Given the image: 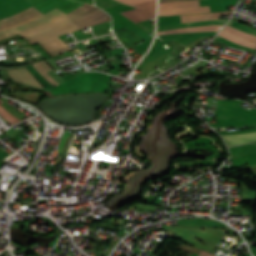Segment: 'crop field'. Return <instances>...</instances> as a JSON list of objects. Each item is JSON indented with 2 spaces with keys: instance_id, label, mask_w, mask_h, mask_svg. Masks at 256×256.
<instances>
[{
  "instance_id": "20",
  "label": "crop field",
  "mask_w": 256,
  "mask_h": 256,
  "mask_svg": "<svg viewBox=\"0 0 256 256\" xmlns=\"http://www.w3.org/2000/svg\"><path fill=\"white\" fill-rule=\"evenodd\" d=\"M0 201H1V193H0Z\"/></svg>"
},
{
  "instance_id": "12",
  "label": "crop field",
  "mask_w": 256,
  "mask_h": 256,
  "mask_svg": "<svg viewBox=\"0 0 256 256\" xmlns=\"http://www.w3.org/2000/svg\"><path fill=\"white\" fill-rule=\"evenodd\" d=\"M215 40L221 42L222 44H224L226 46L247 50V51L252 52V53L254 52V49H250V48H247V47L240 46V45H238L236 43H233V42H231V41H229V40H227L225 38H222V37H220L218 35L216 36Z\"/></svg>"
},
{
  "instance_id": "16",
  "label": "crop field",
  "mask_w": 256,
  "mask_h": 256,
  "mask_svg": "<svg viewBox=\"0 0 256 256\" xmlns=\"http://www.w3.org/2000/svg\"><path fill=\"white\" fill-rule=\"evenodd\" d=\"M70 134L71 133H69L67 131L63 134V136H62V138L59 142L58 153L62 154L63 149H64L65 144H66V141H67L68 137L70 136Z\"/></svg>"
},
{
  "instance_id": "4",
  "label": "crop field",
  "mask_w": 256,
  "mask_h": 256,
  "mask_svg": "<svg viewBox=\"0 0 256 256\" xmlns=\"http://www.w3.org/2000/svg\"><path fill=\"white\" fill-rule=\"evenodd\" d=\"M155 1L142 2L136 5H132L137 9L122 12L124 16L136 23L141 20L149 19L154 17Z\"/></svg>"
},
{
  "instance_id": "15",
  "label": "crop field",
  "mask_w": 256,
  "mask_h": 256,
  "mask_svg": "<svg viewBox=\"0 0 256 256\" xmlns=\"http://www.w3.org/2000/svg\"><path fill=\"white\" fill-rule=\"evenodd\" d=\"M227 19L221 20H213V21H202V22H194V23H186L188 27L191 26H199V25H207V24H223Z\"/></svg>"
},
{
  "instance_id": "10",
  "label": "crop field",
  "mask_w": 256,
  "mask_h": 256,
  "mask_svg": "<svg viewBox=\"0 0 256 256\" xmlns=\"http://www.w3.org/2000/svg\"><path fill=\"white\" fill-rule=\"evenodd\" d=\"M219 35H221V36H223V37H225V38H227V39H229V40H231L233 42H236V43H238L240 45L256 49V44L255 43H251V42L242 40L240 38H237V37H235V36L225 32L223 30L219 33Z\"/></svg>"
},
{
  "instance_id": "7",
  "label": "crop field",
  "mask_w": 256,
  "mask_h": 256,
  "mask_svg": "<svg viewBox=\"0 0 256 256\" xmlns=\"http://www.w3.org/2000/svg\"><path fill=\"white\" fill-rule=\"evenodd\" d=\"M227 146L245 142L256 141V132L248 134L222 135Z\"/></svg>"
},
{
  "instance_id": "9",
  "label": "crop field",
  "mask_w": 256,
  "mask_h": 256,
  "mask_svg": "<svg viewBox=\"0 0 256 256\" xmlns=\"http://www.w3.org/2000/svg\"><path fill=\"white\" fill-rule=\"evenodd\" d=\"M47 81H49L53 86L58 83L50 78L46 72L52 70L48 65H46L43 61L37 62L32 65Z\"/></svg>"
},
{
  "instance_id": "14",
  "label": "crop field",
  "mask_w": 256,
  "mask_h": 256,
  "mask_svg": "<svg viewBox=\"0 0 256 256\" xmlns=\"http://www.w3.org/2000/svg\"><path fill=\"white\" fill-rule=\"evenodd\" d=\"M0 103H2L0 101ZM11 114V113H10ZM1 105H0V115L5 118L6 120H8L10 123L15 124L17 122H20L19 120H17L16 118H14L12 115H10Z\"/></svg>"
},
{
  "instance_id": "18",
  "label": "crop field",
  "mask_w": 256,
  "mask_h": 256,
  "mask_svg": "<svg viewBox=\"0 0 256 256\" xmlns=\"http://www.w3.org/2000/svg\"><path fill=\"white\" fill-rule=\"evenodd\" d=\"M201 254H203V255H205V256H214V255H212V254H209V253H207V252H205V251H201Z\"/></svg>"
},
{
  "instance_id": "3",
  "label": "crop field",
  "mask_w": 256,
  "mask_h": 256,
  "mask_svg": "<svg viewBox=\"0 0 256 256\" xmlns=\"http://www.w3.org/2000/svg\"><path fill=\"white\" fill-rule=\"evenodd\" d=\"M209 12V7H199L198 0L159 4L158 16Z\"/></svg>"
},
{
  "instance_id": "6",
  "label": "crop field",
  "mask_w": 256,
  "mask_h": 256,
  "mask_svg": "<svg viewBox=\"0 0 256 256\" xmlns=\"http://www.w3.org/2000/svg\"><path fill=\"white\" fill-rule=\"evenodd\" d=\"M232 11L229 12H214V13H204V14H194V15H184L180 16L181 22H191V21H201V20H212L219 19L221 15L231 14Z\"/></svg>"
},
{
  "instance_id": "5",
  "label": "crop field",
  "mask_w": 256,
  "mask_h": 256,
  "mask_svg": "<svg viewBox=\"0 0 256 256\" xmlns=\"http://www.w3.org/2000/svg\"><path fill=\"white\" fill-rule=\"evenodd\" d=\"M10 75L18 82L30 84L37 88H43L40 83L25 69H17L8 71Z\"/></svg>"
},
{
  "instance_id": "17",
  "label": "crop field",
  "mask_w": 256,
  "mask_h": 256,
  "mask_svg": "<svg viewBox=\"0 0 256 256\" xmlns=\"http://www.w3.org/2000/svg\"><path fill=\"white\" fill-rule=\"evenodd\" d=\"M117 1L125 3V4L132 5V4H136V3H139V2H142V1H147V0H117Z\"/></svg>"
},
{
  "instance_id": "21",
  "label": "crop field",
  "mask_w": 256,
  "mask_h": 256,
  "mask_svg": "<svg viewBox=\"0 0 256 256\" xmlns=\"http://www.w3.org/2000/svg\"><path fill=\"white\" fill-rule=\"evenodd\" d=\"M200 256V255H199Z\"/></svg>"
},
{
  "instance_id": "1",
  "label": "crop field",
  "mask_w": 256,
  "mask_h": 256,
  "mask_svg": "<svg viewBox=\"0 0 256 256\" xmlns=\"http://www.w3.org/2000/svg\"><path fill=\"white\" fill-rule=\"evenodd\" d=\"M107 20L110 17L105 12L85 4L50 24L20 34L30 45L38 42L53 57L70 50L57 36Z\"/></svg>"
},
{
  "instance_id": "11",
  "label": "crop field",
  "mask_w": 256,
  "mask_h": 256,
  "mask_svg": "<svg viewBox=\"0 0 256 256\" xmlns=\"http://www.w3.org/2000/svg\"><path fill=\"white\" fill-rule=\"evenodd\" d=\"M224 30L242 38V39H245V40H248V41H252V42H255L256 43V36H252V35H249L247 33H244L242 31H239L235 28H232L228 25L225 26Z\"/></svg>"
},
{
  "instance_id": "8",
  "label": "crop field",
  "mask_w": 256,
  "mask_h": 256,
  "mask_svg": "<svg viewBox=\"0 0 256 256\" xmlns=\"http://www.w3.org/2000/svg\"><path fill=\"white\" fill-rule=\"evenodd\" d=\"M220 26L221 25H207V26H199V27H192V28H182V29L161 31V32H158L157 35L183 33V32H198V31H217Z\"/></svg>"
},
{
  "instance_id": "19",
  "label": "crop field",
  "mask_w": 256,
  "mask_h": 256,
  "mask_svg": "<svg viewBox=\"0 0 256 256\" xmlns=\"http://www.w3.org/2000/svg\"><path fill=\"white\" fill-rule=\"evenodd\" d=\"M172 1H179V0H160L159 3H163V2H172Z\"/></svg>"
},
{
  "instance_id": "2",
  "label": "crop field",
  "mask_w": 256,
  "mask_h": 256,
  "mask_svg": "<svg viewBox=\"0 0 256 256\" xmlns=\"http://www.w3.org/2000/svg\"><path fill=\"white\" fill-rule=\"evenodd\" d=\"M64 14V12L55 8L43 15L31 7L17 15L0 21V39L10 37L27 29L47 24Z\"/></svg>"
},
{
  "instance_id": "13",
  "label": "crop field",
  "mask_w": 256,
  "mask_h": 256,
  "mask_svg": "<svg viewBox=\"0 0 256 256\" xmlns=\"http://www.w3.org/2000/svg\"><path fill=\"white\" fill-rule=\"evenodd\" d=\"M228 25H230V26H232V27H235V28H237V29H239V30H242V31H244V32H247V33H249V34L256 35V30H255V29H252V28L247 27V26H245V25L239 24V23H237V22H235V21H233V20H231V21L228 23Z\"/></svg>"
}]
</instances>
